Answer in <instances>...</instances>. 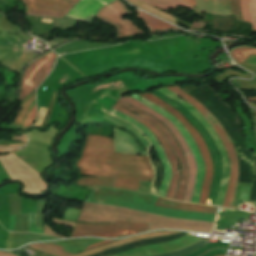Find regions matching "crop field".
<instances>
[{"label":"crop field","mask_w":256,"mask_h":256,"mask_svg":"<svg viewBox=\"0 0 256 256\" xmlns=\"http://www.w3.org/2000/svg\"><path fill=\"white\" fill-rule=\"evenodd\" d=\"M148 225L116 221V224H82L76 223L72 237L97 236L120 238L145 232Z\"/></svg>","instance_id":"3"},{"label":"crop field","mask_w":256,"mask_h":256,"mask_svg":"<svg viewBox=\"0 0 256 256\" xmlns=\"http://www.w3.org/2000/svg\"><path fill=\"white\" fill-rule=\"evenodd\" d=\"M243 10L247 21L252 22V29H256V0H242ZM241 0H230L232 14H236V20L245 21ZM246 21V22H247Z\"/></svg>","instance_id":"16"},{"label":"crop field","mask_w":256,"mask_h":256,"mask_svg":"<svg viewBox=\"0 0 256 256\" xmlns=\"http://www.w3.org/2000/svg\"><path fill=\"white\" fill-rule=\"evenodd\" d=\"M109 113L136 125L145 134V136L149 138V140L152 143L153 148L155 149L159 159L161 160V162L164 166L163 181H162V185L160 187L158 195L165 197L166 192H167V188H168V185H169V181H170L171 170H170L169 163H168V161H167V159H166V157L163 153L162 147L157 143L156 139L154 138V136L150 132V130L147 129L145 126H143L141 123H139V122H137V121H135V120H133V119H131V118L115 111V110H113V109H111L109 111Z\"/></svg>","instance_id":"14"},{"label":"crop field","mask_w":256,"mask_h":256,"mask_svg":"<svg viewBox=\"0 0 256 256\" xmlns=\"http://www.w3.org/2000/svg\"><path fill=\"white\" fill-rule=\"evenodd\" d=\"M196 12L231 15L229 0H196Z\"/></svg>","instance_id":"17"},{"label":"crop field","mask_w":256,"mask_h":256,"mask_svg":"<svg viewBox=\"0 0 256 256\" xmlns=\"http://www.w3.org/2000/svg\"><path fill=\"white\" fill-rule=\"evenodd\" d=\"M23 145L24 144L0 140V147L1 148H16V147H20V146H23Z\"/></svg>","instance_id":"27"},{"label":"crop field","mask_w":256,"mask_h":256,"mask_svg":"<svg viewBox=\"0 0 256 256\" xmlns=\"http://www.w3.org/2000/svg\"><path fill=\"white\" fill-rule=\"evenodd\" d=\"M132 98L136 99L137 101L143 103L144 105L148 106L149 108L155 110L165 118H167L170 122H172L180 134L183 136L185 139L186 143L188 144L190 150L192 151L196 161H197V169H198V174L195 182V190L193 194V198L191 202L198 203L199 197H200V192L202 188V182H203V177H204V172H205V165L203 163L201 154L192 138V136L189 134V132L186 130V128L176 119L174 118L171 114H169L166 110L160 108L159 106L149 102L148 100L136 95L132 94Z\"/></svg>","instance_id":"6"},{"label":"crop field","mask_w":256,"mask_h":256,"mask_svg":"<svg viewBox=\"0 0 256 256\" xmlns=\"http://www.w3.org/2000/svg\"><path fill=\"white\" fill-rule=\"evenodd\" d=\"M18 150V149H16ZM16 150H0V153H4V152H13V151H16Z\"/></svg>","instance_id":"33"},{"label":"crop field","mask_w":256,"mask_h":256,"mask_svg":"<svg viewBox=\"0 0 256 256\" xmlns=\"http://www.w3.org/2000/svg\"><path fill=\"white\" fill-rule=\"evenodd\" d=\"M232 56L248 57L249 54H256V50L250 48H239L231 52ZM233 57L237 63L242 65H255L256 55H250L249 58Z\"/></svg>","instance_id":"20"},{"label":"crop field","mask_w":256,"mask_h":256,"mask_svg":"<svg viewBox=\"0 0 256 256\" xmlns=\"http://www.w3.org/2000/svg\"><path fill=\"white\" fill-rule=\"evenodd\" d=\"M44 234L62 237V236L56 234L55 232H53L47 225H45Z\"/></svg>","instance_id":"29"},{"label":"crop field","mask_w":256,"mask_h":256,"mask_svg":"<svg viewBox=\"0 0 256 256\" xmlns=\"http://www.w3.org/2000/svg\"><path fill=\"white\" fill-rule=\"evenodd\" d=\"M46 110H47L46 108H41L40 109L39 115H38V120H37V122H36V124L34 126H37V127L40 126V124L42 122V119H43V117L45 115Z\"/></svg>","instance_id":"28"},{"label":"crop field","mask_w":256,"mask_h":256,"mask_svg":"<svg viewBox=\"0 0 256 256\" xmlns=\"http://www.w3.org/2000/svg\"><path fill=\"white\" fill-rule=\"evenodd\" d=\"M29 232L42 234V228H36L35 213L29 214Z\"/></svg>","instance_id":"25"},{"label":"crop field","mask_w":256,"mask_h":256,"mask_svg":"<svg viewBox=\"0 0 256 256\" xmlns=\"http://www.w3.org/2000/svg\"><path fill=\"white\" fill-rule=\"evenodd\" d=\"M204 27V23L203 22H193L191 28H203Z\"/></svg>","instance_id":"30"},{"label":"crop field","mask_w":256,"mask_h":256,"mask_svg":"<svg viewBox=\"0 0 256 256\" xmlns=\"http://www.w3.org/2000/svg\"><path fill=\"white\" fill-rule=\"evenodd\" d=\"M155 205L165 207V208L197 211V212H205V213H213V214H215V210H216V207H213V206L179 203V202H175V201L160 198V197H158Z\"/></svg>","instance_id":"18"},{"label":"crop field","mask_w":256,"mask_h":256,"mask_svg":"<svg viewBox=\"0 0 256 256\" xmlns=\"http://www.w3.org/2000/svg\"><path fill=\"white\" fill-rule=\"evenodd\" d=\"M54 58V53H50L28 66L21 81L19 100L23 101L45 78L52 68Z\"/></svg>","instance_id":"10"},{"label":"crop field","mask_w":256,"mask_h":256,"mask_svg":"<svg viewBox=\"0 0 256 256\" xmlns=\"http://www.w3.org/2000/svg\"><path fill=\"white\" fill-rule=\"evenodd\" d=\"M78 0H22L29 14L62 18Z\"/></svg>","instance_id":"13"},{"label":"crop field","mask_w":256,"mask_h":256,"mask_svg":"<svg viewBox=\"0 0 256 256\" xmlns=\"http://www.w3.org/2000/svg\"><path fill=\"white\" fill-rule=\"evenodd\" d=\"M116 104L127 108L133 112H138L139 115L143 116L145 119H147L148 121L152 122L165 136V138L167 139V141L169 142L170 146L172 147L180 165H181V169H182V173H181V177H180V182H179V186H178V191H177V195L175 197L176 200H182L183 198V194H184V189H185V184H186V176H187V168H186V162H185V157L177 143V141L175 140V138L172 136V134L157 120H155L154 118H152L151 116L147 115L146 113H144L143 111L119 100Z\"/></svg>","instance_id":"12"},{"label":"crop field","mask_w":256,"mask_h":256,"mask_svg":"<svg viewBox=\"0 0 256 256\" xmlns=\"http://www.w3.org/2000/svg\"><path fill=\"white\" fill-rule=\"evenodd\" d=\"M112 1L114 0H80L67 17L92 23L96 12Z\"/></svg>","instance_id":"15"},{"label":"crop field","mask_w":256,"mask_h":256,"mask_svg":"<svg viewBox=\"0 0 256 256\" xmlns=\"http://www.w3.org/2000/svg\"><path fill=\"white\" fill-rule=\"evenodd\" d=\"M121 100L151 114L152 116L157 118L159 121H161L173 133L174 137L178 141V143L186 157L187 168H188L187 184H186L184 198L182 201L190 202L192 194H193V190H194V181H195V177H196V173H197L196 161H195L191 151L189 150L187 144L185 143L184 139L182 138V136L179 134V132L177 131V129L175 128V126L173 124H171L168 120H166L164 117H162L155 111L149 109L148 107L144 106L143 104H141L131 98L127 99V98L123 97V98H121Z\"/></svg>","instance_id":"5"},{"label":"crop field","mask_w":256,"mask_h":256,"mask_svg":"<svg viewBox=\"0 0 256 256\" xmlns=\"http://www.w3.org/2000/svg\"><path fill=\"white\" fill-rule=\"evenodd\" d=\"M34 103H35V90L20 105L21 109H20L13 124H15L17 126H22L29 110L34 105Z\"/></svg>","instance_id":"21"},{"label":"crop field","mask_w":256,"mask_h":256,"mask_svg":"<svg viewBox=\"0 0 256 256\" xmlns=\"http://www.w3.org/2000/svg\"><path fill=\"white\" fill-rule=\"evenodd\" d=\"M36 113H37V109H36V104L32 107L26 121L24 122L23 126L22 127H28V126H31L35 116H36Z\"/></svg>","instance_id":"26"},{"label":"crop field","mask_w":256,"mask_h":256,"mask_svg":"<svg viewBox=\"0 0 256 256\" xmlns=\"http://www.w3.org/2000/svg\"><path fill=\"white\" fill-rule=\"evenodd\" d=\"M175 233H178V232L177 231H161V232H153V233L135 235V236H131V237H128V238L118 240V241L113 242V243L108 244V245H104V246H101V247H98V248L88 250L86 252L78 253L76 255L64 252V251H62L63 247L56 246V245H53V244H31V245H28V246H30V247H32L36 250L42 251L44 253H47L49 255H52V256H69V255H73V256H91V255H93V254H95L99 251L106 250V249H109V248H113V247H116V246H119V245H122V244H125V243H129V242H133V241H137V240H142V239H147V238H152V237L171 235V234H175Z\"/></svg>","instance_id":"9"},{"label":"crop field","mask_w":256,"mask_h":256,"mask_svg":"<svg viewBox=\"0 0 256 256\" xmlns=\"http://www.w3.org/2000/svg\"><path fill=\"white\" fill-rule=\"evenodd\" d=\"M167 89H169L173 93L177 94L178 96L182 97L183 99L188 101L190 104H192L208 120V122L216 131L217 135L222 140L231 164L230 180H229V184H228V188H227V192H226V196L223 204L224 207L229 208L232 197L235 192V187L238 179L237 156L231 142L229 141L225 131L220 126L218 121L208 112V110L200 102L195 100L193 97H191L187 93L183 92L178 86L168 87Z\"/></svg>","instance_id":"2"},{"label":"crop field","mask_w":256,"mask_h":256,"mask_svg":"<svg viewBox=\"0 0 256 256\" xmlns=\"http://www.w3.org/2000/svg\"><path fill=\"white\" fill-rule=\"evenodd\" d=\"M158 91L163 93L167 97L177 101L178 103L183 105L185 108H187L197 118V120L203 125V127L208 131L209 135L214 141L222 159V180H221L215 205L222 206L228 179H229V162H228V158L226 156V152L221 140L216 135V133L214 132L210 124L207 122V120L193 106H191L189 103L185 101H182L180 98L177 97V95L173 94L172 92L168 91L165 88L158 89Z\"/></svg>","instance_id":"4"},{"label":"crop field","mask_w":256,"mask_h":256,"mask_svg":"<svg viewBox=\"0 0 256 256\" xmlns=\"http://www.w3.org/2000/svg\"><path fill=\"white\" fill-rule=\"evenodd\" d=\"M113 109L121 112V113H124L130 117H132L133 119L141 122L142 124H144L146 127H148L152 133L155 135V137L159 140V142L161 143L163 149H164V152H165V155L168 159V161L170 162L171 166H172V176H171V181H170V185H169V189H168V192H167V196L168 198H174L175 194H176V189H177V183H178V177H179V173H180V169L178 167L177 164L178 161L174 155V153L172 152L169 144L167 143L166 139L164 138L163 134L153 125L151 124L150 122L144 120L143 118H141L140 116L138 115H135L121 107H119L118 105H114ZM176 167L178 168V172L176 171Z\"/></svg>","instance_id":"11"},{"label":"crop field","mask_w":256,"mask_h":256,"mask_svg":"<svg viewBox=\"0 0 256 256\" xmlns=\"http://www.w3.org/2000/svg\"><path fill=\"white\" fill-rule=\"evenodd\" d=\"M111 241H115V240H106V241H102V242H99V243H96V244H93L91 245L90 247H88L87 249H90L92 247H95V246H98V245H102V244H105V243H108V242H111ZM86 249V250H87Z\"/></svg>","instance_id":"31"},{"label":"crop field","mask_w":256,"mask_h":256,"mask_svg":"<svg viewBox=\"0 0 256 256\" xmlns=\"http://www.w3.org/2000/svg\"><path fill=\"white\" fill-rule=\"evenodd\" d=\"M80 174L116 178L114 187L150 192L153 171L147 156H130L114 153L113 140L88 135L83 153L76 163ZM107 187H91L85 202L125 207L165 216L215 221V215L171 210L153 206L157 196ZM84 203L78 221L112 222L115 220L149 223L148 230L174 228L202 233H211L213 223L177 219L139 212L130 209Z\"/></svg>","instance_id":"1"},{"label":"crop field","mask_w":256,"mask_h":256,"mask_svg":"<svg viewBox=\"0 0 256 256\" xmlns=\"http://www.w3.org/2000/svg\"><path fill=\"white\" fill-rule=\"evenodd\" d=\"M139 95L150 100L151 102L159 105L160 107L166 109L167 111L171 112L172 114H174L176 116V118L188 129V131L193 136V138L202 154L203 160L206 164L204 183H203V188H202L201 197H200V201H199V203L205 204L207 196H208L209 188L211 185V181H212L213 165H212V160L209 156V153L204 145L202 138L200 137L198 132L190 125V123L182 115H180L176 110H174L171 106H169L167 103L157 99L156 97L152 96L149 93L139 94Z\"/></svg>","instance_id":"7"},{"label":"crop field","mask_w":256,"mask_h":256,"mask_svg":"<svg viewBox=\"0 0 256 256\" xmlns=\"http://www.w3.org/2000/svg\"><path fill=\"white\" fill-rule=\"evenodd\" d=\"M184 1H186V2H188V3H190V4L195 6V0H184Z\"/></svg>","instance_id":"32"},{"label":"crop field","mask_w":256,"mask_h":256,"mask_svg":"<svg viewBox=\"0 0 256 256\" xmlns=\"http://www.w3.org/2000/svg\"><path fill=\"white\" fill-rule=\"evenodd\" d=\"M219 256H222V255H219Z\"/></svg>","instance_id":"34"},{"label":"crop field","mask_w":256,"mask_h":256,"mask_svg":"<svg viewBox=\"0 0 256 256\" xmlns=\"http://www.w3.org/2000/svg\"><path fill=\"white\" fill-rule=\"evenodd\" d=\"M137 17L140 21L148 28L150 32L154 30H165V29H176L177 27L172 26L168 23L153 18L139 10H136Z\"/></svg>","instance_id":"19"},{"label":"crop field","mask_w":256,"mask_h":256,"mask_svg":"<svg viewBox=\"0 0 256 256\" xmlns=\"http://www.w3.org/2000/svg\"><path fill=\"white\" fill-rule=\"evenodd\" d=\"M204 245L205 244L202 241V242H200L198 244H195L193 246H190V247H188L186 249H183V250H180L178 252H174V253H170V254H165V255H159V256H182V255H186V254H188V253H190V252H192V251H194V250H196V249H198V248H200V247H202Z\"/></svg>","instance_id":"24"},{"label":"crop field","mask_w":256,"mask_h":256,"mask_svg":"<svg viewBox=\"0 0 256 256\" xmlns=\"http://www.w3.org/2000/svg\"><path fill=\"white\" fill-rule=\"evenodd\" d=\"M126 13H132L129 11L126 6L119 0L111 3L110 5L100 9L97 14V17L101 18L105 22L114 25L118 29V37H125L129 35L142 34L144 31L134 24L131 23L128 19H121L120 15Z\"/></svg>","instance_id":"8"},{"label":"crop field","mask_w":256,"mask_h":256,"mask_svg":"<svg viewBox=\"0 0 256 256\" xmlns=\"http://www.w3.org/2000/svg\"><path fill=\"white\" fill-rule=\"evenodd\" d=\"M115 179L88 177L81 178L76 185L108 186L113 187Z\"/></svg>","instance_id":"23"},{"label":"crop field","mask_w":256,"mask_h":256,"mask_svg":"<svg viewBox=\"0 0 256 256\" xmlns=\"http://www.w3.org/2000/svg\"><path fill=\"white\" fill-rule=\"evenodd\" d=\"M152 6L165 11L169 6L177 8L178 4L194 10L195 8L183 2L182 0H142Z\"/></svg>","instance_id":"22"}]
</instances>
